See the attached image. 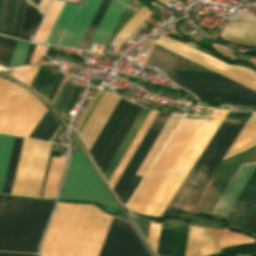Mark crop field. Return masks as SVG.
Here are the masks:
<instances>
[{"label":"crop field","instance_id":"1","mask_svg":"<svg viewBox=\"0 0 256 256\" xmlns=\"http://www.w3.org/2000/svg\"><path fill=\"white\" fill-rule=\"evenodd\" d=\"M251 113L228 112L162 215L190 214ZM202 120L183 119L128 203L142 214Z\"/></svg>","mask_w":256,"mask_h":256},{"label":"crop field","instance_id":"2","mask_svg":"<svg viewBox=\"0 0 256 256\" xmlns=\"http://www.w3.org/2000/svg\"><path fill=\"white\" fill-rule=\"evenodd\" d=\"M53 202L4 196L0 210V251L37 253L38 239Z\"/></svg>","mask_w":256,"mask_h":256},{"label":"crop field","instance_id":"3","mask_svg":"<svg viewBox=\"0 0 256 256\" xmlns=\"http://www.w3.org/2000/svg\"><path fill=\"white\" fill-rule=\"evenodd\" d=\"M169 77L198 97L256 106V92L216 73L173 69Z\"/></svg>","mask_w":256,"mask_h":256},{"label":"crop field","instance_id":"4","mask_svg":"<svg viewBox=\"0 0 256 256\" xmlns=\"http://www.w3.org/2000/svg\"><path fill=\"white\" fill-rule=\"evenodd\" d=\"M59 200L94 201L102 204L110 212L119 210L90 164L78 149H76L71 158V165Z\"/></svg>","mask_w":256,"mask_h":256},{"label":"crop field","instance_id":"5","mask_svg":"<svg viewBox=\"0 0 256 256\" xmlns=\"http://www.w3.org/2000/svg\"><path fill=\"white\" fill-rule=\"evenodd\" d=\"M50 146L24 139L11 194L38 197Z\"/></svg>","mask_w":256,"mask_h":256},{"label":"crop field","instance_id":"6","mask_svg":"<svg viewBox=\"0 0 256 256\" xmlns=\"http://www.w3.org/2000/svg\"><path fill=\"white\" fill-rule=\"evenodd\" d=\"M101 0L65 3L46 43L78 48Z\"/></svg>","mask_w":256,"mask_h":256},{"label":"crop field","instance_id":"7","mask_svg":"<svg viewBox=\"0 0 256 256\" xmlns=\"http://www.w3.org/2000/svg\"><path fill=\"white\" fill-rule=\"evenodd\" d=\"M100 256H150L128 222L113 219Z\"/></svg>","mask_w":256,"mask_h":256},{"label":"crop field","instance_id":"8","mask_svg":"<svg viewBox=\"0 0 256 256\" xmlns=\"http://www.w3.org/2000/svg\"><path fill=\"white\" fill-rule=\"evenodd\" d=\"M256 196V168L229 211L226 219L237 228L250 204ZM239 229L250 231L256 234V198L238 226Z\"/></svg>","mask_w":256,"mask_h":256},{"label":"crop field","instance_id":"9","mask_svg":"<svg viewBox=\"0 0 256 256\" xmlns=\"http://www.w3.org/2000/svg\"><path fill=\"white\" fill-rule=\"evenodd\" d=\"M169 116L170 114L158 112L157 116L155 117L153 123L151 124L150 128L148 129L147 133L145 134L140 145L138 146L137 150L135 151L130 162L128 163L127 167L125 168L124 172L122 173L121 177L119 178L117 184L113 189L114 192L117 194L119 200Z\"/></svg>","mask_w":256,"mask_h":256},{"label":"crop field","instance_id":"10","mask_svg":"<svg viewBox=\"0 0 256 256\" xmlns=\"http://www.w3.org/2000/svg\"><path fill=\"white\" fill-rule=\"evenodd\" d=\"M188 227L177 221L162 223L157 255L184 256Z\"/></svg>","mask_w":256,"mask_h":256},{"label":"crop field","instance_id":"11","mask_svg":"<svg viewBox=\"0 0 256 256\" xmlns=\"http://www.w3.org/2000/svg\"><path fill=\"white\" fill-rule=\"evenodd\" d=\"M26 0H0V34L18 38Z\"/></svg>","mask_w":256,"mask_h":256},{"label":"crop field","instance_id":"12","mask_svg":"<svg viewBox=\"0 0 256 256\" xmlns=\"http://www.w3.org/2000/svg\"><path fill=\"white\" fill-rule=\"evenodd\" d=\"M220 37L230 42L256 46V19L240 12L230 27L225 26Z\"/></svg>","mask_w":256,"mask_h":256},{"label":"crop field","instance_id":"13","mask_svg":"<svg viewBox=\"0 0 256 256\" xmlns=\"http://www.w3.org/2000/svg\"><path fill=\"white\" fill-rule=\"evenodd\" d=\"M255 163L240 165L213 213L226 215L253 171ZM212 213V212H211Z\"/></svg>","mask_w":256,"mask_h":256},{"label":"crop field","instance_id":"14","mask_svg":"<svg viewBox=\"0 0 256 256\" xmlns=\"http://www.w3.org/2000/svg\"><path fill=\"white\" fill-rule=\"evenodd\" d=\"M128 0H111L88 48L92 42L106 44Z\"/></svg>","mask_w":256,"mask_h":256},{"label":"crop field","instance_id":"15","mask_svg":"<svg viewBox=\"0 0 256 256\" xmlns=\"http://www.w3.org/2000/svg\"><path fill=\"white\" fill-rule=\"evenodd\" d=\"M140 110L141 107L133 104L132 108L130 109L129 113L127 114L126 118L124 119L116 135L114 136L113 140L111 141L110 145L108 146L107 150L105 151L104 155L102 156L101 160L97 165L102 174L106 169L107 165L109 164L110 160L112 159L113 155L115 154L116 150L118 149L119 145L121 144L129 128L131 127L132 123L134 122L135 118L137 117L138 113L140 112Z\"/></svg>","mask_w":256,"mask_h":256},{"label":"crop field","instance_id":"16","mask_svg":"<svg viewBox=\"0 0 256 256\" xmlns=\"http://www.w3.org/2000/svg\"><path fill=\"white\" fill-rule=\"evenodd\" d=\"M149 113L150 110L142 108L141 112L139 113L138 117L136 118L135 122L133 123L132 127L130 128L122 144L120 145L119 149L117 150L116 154L114 155L113 159L111 160L110 164L108 165L107 169L103 174L107 182L111 177L112 173L114 172V170L116 169L117 165L119 164L120 160L122 159L123 155L127 151L134 137L138 133L145 119L149 115Z\"/></svg>","mask_w":256,"mask_h":256},{"label":"crop field","instance_id":"17","mask_svg":"<svg viewBox=\"0 0 256 256\" xmlns=\"http://www.w3.org/2000/svg\"><path fill=\"white\" fill-rule=\"evenodd\" d=\"M131 106L132 103L124 100L123 104L121 105L120 109L118 110L117 114L115 115L114 119L109 125L107 131L105 132L104 136L102 137L101 141L99 142L98 146L96 147L95 151L91 156L96 165L100 160L101 156L103 155L104 151L106 150L107 146L109 145L110 141L112 140L120 124L122 123L123 119L125 118L126 114L128 113L129 109L131 108Z\"/></svg>","mask_w":256,"mask_h":256},{"label":"crop field","instance_id":"18","mask_svg":"<svg viewBox=\"0 0 256 256\" xmlns=\"http://www.w3.org/2000/svg\"><path fill=\"white\" fill-rule=\"evenodd\" d=\"M66 164L67 157H52L43 193L44 197L53 198L56 196Z\"/></svg>","mask_w":256,"mask_h":256},{"label":"crop field","instance_id":"19","mask_svg":"<svg viewBox=\"0 0 256 256\" xmlns=\"http://www.w3.org/2000/svg\"><path fill=\"white\" fill-rule=\"evenodd\" d=\"M48 65H41L32 84L31 88L48 99L60 74L59 71L47 69Z\"/></svg>","mask_w":256,"mask_h":256},{"label":"crop field","instance_id":"20","mask_svg":"<svg viewBox=\"0 0 256 256\" xmlns=\"http://www.w3.org/2000/svg\"><path fill=\"white\" fill-rule=\"evenodd\" d=\"M156 114H157V112L151 111L150 115L148 116L147 120L145 121V123L143 124L139 133L137 134L136 138L132 142V144L129 147L128 151L126 152L125 156L121 160V162L118 165L117 169L115 170L114 174L110 178L108 183L112 187V189H113L114 185L116 184L118 178L120 177L121 173L123 172L124 168L126 167L127 163L129 162L134 151L136 150L137 146L139 145V143H140L141 139L143 138L144 134L146 133L147 129L149 128L150 124L152 123Z\"/></svg>","mask_w":256,"mask_h":256},{"label":"crop field","instance_id":"21","mask_svg":"<svg viewBox=\"0 0 256 256\" xmlns=\"http://www.w3.org/2000/svg\"><path fill=\"white\" fill-rule=\"evenodd\" d=\"M43 16L42 12L27 2L20 39L31 41Z\"/></svg>","mask_w":256,"mask_h":256},{"label":"crop field","instance_id":"22","mask_svg":"<svg viewBox=\"0 0 256 256\" xmlns=\"http://www.w3.org/2000/svg\"><path fill=\"white\" fill-rule=\"evenodd\" d=\"M59 123L57 120L52 116V114L47 110V112L44 114L42 119L39 121L37 126L34 128L32 133L30 134V138L35 139H41L49 141V139L52 137V135L55 133V131L59 127ZM61 128V126H60ZM60 128L57 130V132L54 134V136L51 138L50 142L54 139Z\"/></svg>","mask_w":256,"mask_h":256},{"label":"crop field","instance_id":"23","mask_svg":"<svg viewBox=\"0 0 256 256\" xmlns=\"http://www.w3.org/2000/svg\"><path fill=\"white\" fill-rule=\"evenodd\" d=\"M64 2L62 1H56L54 0L34 41L33 42H39V43H44Z\"/></svg>","mask_w":256,"mask_h":256},{"label":"crop field","instance_id":"24","mask_svg":"<svg viewBox=\"0 0 256 256\" xmlns=\"http://www.w3.org/2000/svg\"><path fill=\"white\" fill-rule=\"evenodd\" d=\"M23 139L15 137L2 193L10 194Z\"/></svg>","mask_w":256,"mask_h":256},{"label":"crop field","instance_id":"25","mask_svg":"<svg viewBox=\"0 0 256 256\" xmlns=\"http://www.w3.org/2000/svg\"><path fill=\"white\" fill-rule=\"evenodd\" d=\"M14 137L0 135V193L2 191L6 169Z\"/></svg>","mask_w":256,"mask_h":256},{"label":"crop field","instance_id":"26","mask_svg":"<svg viewBox=\"0 0 256 256\" xmlns=\"http://www.w3.org/2000/svg\"><path fill=\"white\" fill-rule=\"evenodd\" d=\"M176 56V54L164 48L156 46L155 50L153 51L150 57V60L156 62L157 64L161 65L162 67L170 71Z\"/></svg>","mask_w":256,"mask_h":256},{"label":"crop field","instance_id":"27","mask_svg":"<svg viewBox=\"0 0 256 256\" xmlns=\"http://www.w3.org/2000/svg\"><path fill=\"white\" fill-rule=\"evenodd\" d=\"M109 1L110 0H102L94 18H93V20H92V22H91V24H90V26H89L86 34H85L80 46H79L80 49H84V50L86 49V47H87L95 29H96V27H97L102 15H103L105 9H106Z\"/></svg>","mask_w":256,"mask_h":256},{"label":"crop field","instance_id":"28","mask_svg":"<svg viewBox=\"0 0 256 256\" xmlns=\"http://www.w3.org/2000/svg\"><path fill=\"white\" fill-rule=\"evenodd\" d=\"M16 42V40L0 37V64L5 65L6 68L8 67Z\"/></svg>","mask_w":256,"mask_h":256},{"label":"crop field","instance_id":"29","mask_svg":"<svg viewBox=\"0 0 256 256\" xmlns=\"http://www.w3.org/2000/svg\"><path fill=\"white\" fill-rule=\"evenodd\" d=\"M28 46H29L28 43H24L20 41L17 42L16 48L14 50V53L8 68L20 66L23 64Z\"/></svg>","mask_w":256,"mask_h":256},{"label":"crop field","instance_id":"30","mask_svg":"<svg viewBox=\"0 0 256 256\" xmlns=\"http://www.w3.org/2000/svg\"><path fill=\"white\" fill-rule=\"evenodd\" d=\"M252 240H254V239H251L249 237L243 236L241 234L235 233L233 231H230V230H227L224 228L221 245L245 242V241H252Z\"/></svg>","mask_w":256,"mask_h":256},{"label":"crop field","instance_id":"31","mask_svg":"<svg viewBox=\"0 0 256 256\" xmlns=\"http://www.w3.org/2000/svg\"><path fill=\"white\" fill-rule=\"evenodd\" d=\"M83 87L81 86H77L75 85L70 96H69V99L62 111V113L64 114V116L67 118L68 114H69V111L70 109H72V107L74 106L76 100H77V97H78V94L79 92L82 90ZM81 93V92H80Z\"/></svg>","mask_w":256,"mask_h":256},{"label":"crop field","instance_id":"32","mask_svg":"<svg viewBox=\"0 0 256 256\" xmlns=\"http://www.w3.org/2000/svg\"><path fill=\"white\" fill-rule=\"evenodd\" d=\"M122 102H123V99L120 98V100L117 103L116 107L114 108L112 114L110 115L109 119L107 120L106 124L104 125L103 129L101 130L100 134L98 135L96 141L94 142L93 146L91 147V149L89 151L90 155L94 151L95 147L97 146L98 142L100 141L101 137L103 136L104 132L106 131L108 125L110 124L111 120L113 119L114 115L116 114V112L119 109Z\"/></svg>","mask_w":256,"mask_h":256},{"label":"crop field","instance_id":"33","mask_svg":"<svg viewBox=\"0 0 256 256\" xmlns=\"http://www.w3.org/2000/svg\"><path fill=\"white\" fill-rule=\"evenodd\" d=\"M141 179V176L135 175L134 179L132 180V182L130 183L129 187L127 188L126 192L120 200L122 203L126 204V202L128 201L129 197L131 196V194L133 193Z\"/></svg>","mask_w":256,"mask_h":256},{"label":"crop field","instance_id":"34","mask_svg":"<svg viewBox=\"0 0 256 256\" xmlns=\"http://www.w3.org/2000/svg\"><path fill=\"white\" fill-rule=\"evenodd\" d=\"M44 49H45L44 46H39V45L36 46V49L30 64L37 63L39 61Z\"/></svg>","mask_w":256,"mask_h":256},{"label":"crop field","instance_id":"35","mask_svg":"<svg viewBox=\"0 0 256 256\" xmlns=\"http://www.w3.org/2000/svg\"><path fill=\"white\" fill-rule=\"evenodd\" d=\"M61 153L60 152H56V151H52L50 152V156H49V160H48V164H47V168H46V172H45V176H44V180H43V184H42V188H41V192H40V196H42L43 193V189H44V185H45V180H46V176H47V172H48V167H49V163H50V159L51 156H56V157H60Z\"/></svg>","mask_w":256,"mask_h":256},{"label":"crop field","instance_id":"36","mask_svg":"<svg viewBox=\"0 0 256 256\" xmlns=\"http://www.w3.org/2000/svg\"><path fill=\"white\" fill-rule=\"evenodd\" d=\"M73 86H74V85H71V84L68 85V87H67V89H66V91H65V94H64V96H63V98H62V101H61V103H60V105H59V107H58V109H59L60 111H62V109H63V107H64V105H65V103H66V101H67V98H68V96H69V94H70V92H71V90H72V88H73Z\"/></svg>","mask_w":256,"mask_h":256},{"label":"crop field","instance_id":"37","mask_svg":"<svg viewBox=\"0 0 256 256\" xmlns=\"http://www.w3.org/2000/svg\"><path fill=\"white\" fill-rule=\"evenodd\" d=\"M35 46H36V45H32V44L30 45V48H29V50H28V53H27V56H26V59H25L23 65H27V64L30 63V60H31L32 54H33V52H34Z\"/></svg>","mask_w":256,"mask_h":256},{"label":"crop field","instance_id":"38","mask_svg":"<svg viewBox=\"0 0 256 256\" xmlns=\"http://www.w3.org/2000/svg\"><path fill=\"white\" fill-rule=\"evenodd\" d=\"M0 256H37V255H29V254H15V253H1Z\"/></svg>","mask_w":256,"mask_h":256},{"label":"crop field","instance_id":"39","mask_svg":"<svg viewBox=\"0 0 256 256\" xmlns=\"http://www.w3.org/2000/svg\"><path fill=\"white\" fill-rule=\"evenodd\" d=\"M62 77H63V75L61 74L59 79H58V81H57V83H56V85H55V87H54V89H53V91H52V93H51V95H50V97H49V99H48V101H51V99H52V97H53V95H54V93H55V91H56V89H57V87H58Z\"/></svg>","mask_w":256,"mask_h":256},{"label":"crop field","instance_id":"40","mask_svg":"<svg viewBox=\"0 0 256 256\" xmlns=\"http://www.w3.org/2000/svg\"><path fill=\"white\" fill-rule=\"evenodd\" d=\"M56 55H57V53L56 52H54V51H52V50H47V52H46V54H45V56H47V57H49V58H51V59H55V57H56Z\"/></svg>","mask_w":256,"mask_h":256},{"label":"crop field","instance_id":"41","mask_svg":"<svg viewBox=\"0 0 256 256\" xmlns=\"http://www.w3.org/2000/svg\"><path fill=\"white\" fill-rule=\"evenodd\" d=\"M30 2H32L34 5L38 6L40 0H29Z\"/></svg>","mask_w":256,"mask_h":256},{"label":"crop field","instance_id":"42","mask_svg":"<svg viewBox=\"0 0 256 256\" xmlns=\"http://www.w3.org/2000/svg\"><path fill=\"white\" fill-rule=\"evenodd\" d=\"M2 198H3V196H0V206H1Z\"/></svg>","mask_w":256,"mask_h":256},{"label":"crop field","instance_id":"43","mask_svg":"<svg viewBox=\"0 0 256 256\" xmlns=\"http://www.w3.org/2000/svg\"><path fill=\"white\" fill-rule=\"evenodd\" d=\"M234 256H251V255H234Z\"/></svg>","mask_w":256,"mask_h":256}]
</instances>
